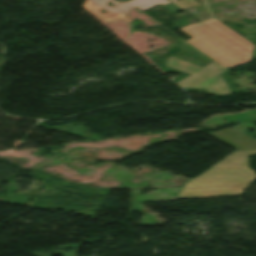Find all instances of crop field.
Returning <instances> with one entry per match:
<instances>
[{"label": "crop field", "mask_w": 256, "mask_h": 256, "mask_svg": "<svg viewBox=\"0 0 256 256\" xmlns=\"http://www.w3.org/2000/svg\"><path fill=\"white\" fill-rule=\"evenodd\" d=\"M236 149L204 174L186 182L177 198L240 194L256 176L248 157L256 154V141L230 129L206 133Z\"/></svg>", "instance_id": "1"}, {"label": "crop field", "mask_w": 256, "mask_h": 256, "mask_svg": "<svg viewBox=\"0 0 256 256\" xmlns=\"http://www.w3.org/2000/svg\"><path fill=\"white\" fill-rule=\"evenodd\" d=\"M196 0H180L177 2L169 3L166 5H163V7L166 8L170 13H175L179 11H183L189 7H195V6H200Z\"/></svg>", "instance_id": "5"}, {"label": "crop field", "mask_w": 256, "mask_h": 256, "mask_svg": "<svg viewBox=\"0 0 256 256\" xmlns=\"http://www.w3.org/2000/svg\"><path fill=\"white\" fill-rule=\"evenodd\" d=\"M112 2L116 6L110 7L106 5L108 2ZM169 3L168 0H131L129 2L118 3L114 0H86L82 5V8L90 11L100 19L105 22L124 19L125 21H131L125 16V13L136 7L139 10L143 11L150 7L156 6L158 4L163 5ZM105 9L108 12L102 14L98 12L101 9Z\"/></svg>", "instance_id": "4"}, {"label": "crop field", "mask_w": 256, "mask_h": 256, "mask_svg": "<svg viewBox=\"0 0 256 256\" xmlns=\"http://www.w3.org/2000/svg\"><path fill=\"white\" fill-rule=\"evenodd\" d=\"M187 40L203 53L229 69L249 62L253 44L216 19L202 21L183 28Z\"/></svg>", "instance_id": "2"}, {"label": "crop field", "mask_w": 256, "mask_h": 256, "mask_svg": "<svg viewBox=\"0 0 256 256\" xmlns=\"http://www.w3.org/2000/svg\"><path fill=\"white\" fill-rule=\"evenodd\" d=\"M167 66L191 74L183 80L175 83L181 87L205 88L209 95L231 94V91L219 75L227 69L215 61L202 68L185 61L169 57Z\"/></svg>", "instance_id": "3"}, {"label": "crop field", "mask_w": 256, "mask_h": 256, "mask_svg": "<svg viewBox=\"0 0 256 256\" xmlns=\"http://www.w3.org/2000/svg\"><path fill=\"white\" fill-rule=\"evenodd\" d=\"M169 1L173 2V1H177V0H169Z\"/></svg>", "instance_id": "6"}]
</instances>
